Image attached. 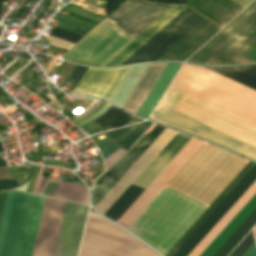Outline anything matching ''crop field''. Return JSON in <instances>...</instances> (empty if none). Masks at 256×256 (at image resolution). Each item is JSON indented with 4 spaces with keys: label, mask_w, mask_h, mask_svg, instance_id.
Listing matches in <instances>:
<instances>
[{
    "label": "crop field",
    "mask_w": 256,
    "mask_h": 256,
    "mask_svg": "<svg viewBox=\"0 0 256 256\" xmlns=\"http://www.w3.org/2000/svg\"><path fill=\"white\" fill-rule=\"evenodd\" d=\"M235 3L239 4L242 7H246L249 3H251L253 0H232Z\"/></svg>",
    "instance_id": "crop-field-35"
},
{
    "label": "crop field",
    "mask_w": 256,
    "mask_h": 256,
    "mask_svg": "<svg viewBox=\"0 0 256 256\" xmlns=\"http://www.w3.org/2000/svg\"><path fill=\"white\" fill-rule=\"evenodd\" d=\"M66 203L46 197L32 256H53Z\"/></svg>",
    "instance_id": "crop-field-12"
},
{
    "label": "crop field",
    "mask_w": 256,
    "mask_h": 256,
    "mask_svg": "<svg viewBox=\"0 0 256 256\" xmlns=\"http://www.w3.org/2000/svg\"><path fill=\"white\" fill-rule=\"evenodd\" d=\"M190 139L191 137L177 133L147 168L137 177L133 184L146 189ZM133 184L127 188L104 215L115 222L120 218V216L144 191V189Z\"/></svg>",
    "instance_id": "crop-field-10"
},
{
    "label": "crop field",
    "mask_w": 256,
    "mask_h": 256,
    "mask_svg": "<svg viewBox=\"0 0 256 256\" xmlns=\"http://www.w3.org/2000/svg\"><path fill=\"white\" fill-rule=\"evenodd\" d=\"M254 242L252 238V231L248 234V236L241 242V244L234 250V252L230 256H241L249 246Z\"/></svg>",
    "instance_id": "crop-field-28"
},
{
    "label": "crop field",
    "mask_w": 256,
    "mask_h": 256,
    "mask_svg": "<svg viewBox=\"0 0 256 256\" xmlns=\"http://www.w3.org/2000/svg\"><path fill=\"white\" fill-rule=\"evenodd\" d=\"M126 151L124 150H119L118 152H116L115 154H113L112 156H110L109 158H107L106 160H104L105 162V169H107L110 165H112L117 159H119Z\"/></svg>",
    "instance_id": "crop-field-32"
},
{
    "label": "crop field",
    "mask_w": 256,
    "mask_h": 256,
    "mask_svg": "<svg viewBox=\"0 0 256 256\" xmlns=\"http://www.w3.org/2000/svg\"><path fill=\"white\" fill-rule=\"evenodd\" d=\"M86 70H87V67L77 66L76 70L74 71L71 78L69 79V82H73L77 84Z\"/></svg>",
    "instance_id": "crop-field-31"
},
{
    "label": "crop field",
    "mask_w": 256,
    "mask_h": 256,
    "mask_svg": "<svg viewBox=\"0 0 256 256\" xmlns=\"http://www.w3.org/2000/svg\"><path fill=\"white\" fill-rule=\"evenodd\" d=\"M54 197L89 204L86 189L79 182L60 181Z\"/></svg>",
    "instance_id": "crop-field-22"
},
{
    "label": "crop field",
    "mask_w": 256,
    "mask_h": 256,
    "mask_svg": "<svg viewBox=\"0 0 256 256\" xmlns=\"http://www.w3.org/2000/svg\"><path fill=\"white\" fill-rule=\"evenodd\" d=\"M56 27L68 30L70 32H73V33H76V34H79L82 36H84L86 33H88L91 30V28L84 27V26H81V25H78V24H75L72 22L62 20V19H60V21L57 23ZM76 29L84 31L86 33L83 34V33L77 32V31H75Z\"/></svg>",
    "instance_id": "crop-field-26"
},
{
    "label": "crop field",
    "mask_w": 256,
    "mask_h": 256,
    "mask_svg": "<svg viewBox=\"0 0 256 256\" xmlns=\"http://www.w3.org/2000/svg\"><path fill=\"white\" fill-rule=\"evenodd\" d=\"M252 62H256V59H254Z\"/></svg>",
    "instance_id": "crop-field-41"
},
{
    "label": "crop field",
    "mask_w": 256,
    "mask_h": 256,
    "mask_svg": "<svg viewBox=\"0 0 256 256\" xmlns=\"http://www.w3.org/2000/svg\"><path fill=\"white\" fill-rule=\"evenodd\" d=\"M255 194L256 181L222 217V219L211 229V231L201 240V242L191 251L188 256H199Z\"/></svg>",
    "instance_id": "crop-field-17"
},
{
    "label": "crop field",
    "mask_w": 256,
    "mask_h": 256,
    "mask_svg": "<svg viewBox=\"0 0 256 256\" xmlns=\"http://www.w3.org/2000/svg\"><path fill=\"white\" fill-rule=\"evenodd\" d=\"M181 64L169 63L162 76L146 98L145 102L137 112V115L147 118L151 113L152 109L160 99L161 95L169 85L170 81L178 71Z\"/></svg>",
    "instance_id": "crop-field-19"
},
{
    "label": "crop field",
    "mask_w": 256,
    "mask_h": 256,
    "mask_svg": "<svg viewBox=\"0 0 256 256\" xmlns=\"http://www.w3.org/2000/svg\"><path fill=\"white\" fill-rule=\"evenodd\" d=\"M49 94V93H48ZM47 95V94H46ZM45 96V95H44Z\"/></svg>",
    "instance_id": "crop-field-44"
},
{
    "label": "crop field",
    "mask_w": 256,
    "mask_h": 256,
    "mask_svg": "<svg viewBox=\"0 0 256 256\" xmlns=\"http://www.w3.org/2000/svg\"><path fill=\"white\" fill-rule=\"evenodd\" d=\"M197 1H198V0H187L185 4L191 7V6H192L195 2H197ZM190 7H189V8H190Z\"/></svg>",
    "instance_id": "crop-field-36"
},
{
    "label": "crop field",
    "mask_w": 256,
    "mask_h": 256,
    "mask_svg": "<svg viewBox=\"0 0 256 256\" xmlns=\"http://www.w3.org/2000/svg\"><path fill=\"white\" fill-rule=\"evenodd\" d=\"M170 6L171 5L125 0L106 19L135 38ZM183 8L184 6L172 5L135 39L105 19L104 21L125 34L130 39L134 40H130L103 21L102 23L100 22L101 24L79 41L66 54H64V56L83 62L104 65L132 41L104 67L117 66ZM64 56H62V58L69 61L89 66L102 67L101 65L83 63Z\"/></svg>",
    "instance_id": "crop-field-2"
},
{
    "label": "crop field",
    "mask_w": 256,
    "mask_h": 256,
    "mask_svg": "<svg viewBox=\"0 0 256 256\" xmlns=\"http://www.w3.org/2000/svg\"><path fill=\"white\" fill-rule=\"evenodd\" d=\"M98 149L101 155L103 156V159H106L107 157H109L110 155H112L121 148L117 147L116 145L110 142L106 145L99 147Z\"/></svg>",
    "instance_id": "crop-field-29"
},
{
    "label": "crop field",
    "mask_w": 256,
    "mask_h": 256,
    "mask_svg": "<svg viewBox=\"0 0 256 256\" xmlns=\"http://www.w3.org/2000/svg\"><path fill=\"white\" fill-rule=\"evenodd\" d=\"M203 143L192 138L116 223L127 229Z\"/></svg>",
    "instance_id": "crop-field-11"
},
{
    "label": "crop field",
    "mask_w": 256,
    "mask_h": 256,
    "mask_svg": "<svg viewBox=\"0 0 256 256\" xmlns=\"http://www.w3.org/2000/svg\"><path fill=\"white\" fill-rule=\"evenodd\" d=\"M0 173H9L7 168H0ZM0 178H11L9 174H0ZM19 185L15 179H0V189H7Z\"/></svg>",
    "instance_id": "crop-field-27"
},
{
    "label": "crop field",
    "mask_w": 256,
    "mask_h": 256,
    "mask_svg": "<svg viewBox=\"0 0 256 256\" xmlns=\"http://www.w3.org/2000/svg\"><path fill=\"white\" fill-rule=\"evenodd\" d=\"M79 256H158L102 217L90 212Z\"/></svg>",
    "instance_id": "crop-field-8"
},
{
    "label": "crop field",
    "mask_w": 256,
    "mask_h": 256,
    "mask_svg": "<svg viewBox=\"0 0 256 256\" xmlns=\"http://www.w3.org/2000/svg\"><path fill=\"white\" fill-rule=\"evenodd\" d=\"M5 192L0 193V212ZM45 197L6 192L0 216V256H31Z\"/></svg>",
    "instance_id": "crop-field-5"
},
{
    "label": "crop field",
    "mask_w": 256,
    "mask_h": 256,
    "mask_svg": "<svg viewBox=\"0 0 256 256\" xmlns=\"http://www.w3.org/2000/svg\"><path fill=\"white\" fill-rule=\"evenodd\" d=\"M35 65V63H31L29 66H27L26 68H24L20 73H24V72H26L28 69H30L32 66H34Z\"/></svg>",
    "instance_id": "crop-field-37"
},
{
    "label": "crop field",
    "mask_w": 256,
    "mask_h": 256,
    "mask_svg": "<svg viewBox=\"0 0 256 256\" xmlns=\"http://www.w3.org/2000/svg\"><path fill=\"white\" fill-rule=\"evenodd\" d=\"M128 68L129 67L115 69L88 68L75 90L109 99Z\"/></svg>",
    "instance_id": "crop-field-15"
},
{
    "label": "crop field",
    "mask_w": 256,
    "mask_h": 256,
    "mask_svg": "<svg viewBox=\"0 0 256 256\" xmlns=\"http://www.w3.org/2000/svg\"><path fill=\"white\" fill-rule=\"evenodd\" d=\"M246 72H249L256 76V65L238 67Z\"/></svg>",
    "instance_id": "crop-field-33"
},
{
    "label": "crop field",
    "mask_w": 256,
    "mask_h": 256,
    "mask_svg": "<svg viewBox=\"0 0 256 256\" xmlns=\"http://www.w3.org/2000/svg\"><path fill=\"white\" fill-rule=\"evenodd\" d=\"M135 117L111 106L103 115L93 120L102 129L126 125Z\"/></svg>",
    "instance_id": "crop-field-23"
},
{
    "label": "crop field",
    "mask_w": 256,
    "mask_h": 256,
    "mask_svg": "<svg viewBox=\"0 0 256 256\" xmlns=\"http://www.w3.org/2000/svg\"><path fill=\"white\" fill-rule=\"evenodd\" d=\"M220 29L204 18L157 61H184Z\"/></svg>",
    "instance_id": "crop-field-14"
},
{
    "label": "crop field",
    "mask_w": 256,
    "mask_h": 256,
    "mask_svg": "<svg viewBox=\"0 0 256 256\" xmlns=\"http://www.w3.org/2000/svg\"><path fill=\"white\" fill-rule=\"evenodd\" d=\"M164 127L153 124L133 148L115 165L106 171L96 182L92 191V203L95 206L152 141L161 133Z\"/></svg>",
    "instance_id": "crop-field-13"
},
{
    "label": "crop field",
    "mask_w": 256,
    "mask_h": 256,
    "mask_svg": "<svg viewBox=\"0 0 256 256\" xmlns=\"http://www.w3.org/2000/svg\"><path fill=\"white\" fill-rule=\"evenodd\" d=\"M191 8L221 27L244 9L230 0H199Z\"/></svg>",
    "instance_id": "crop-field-16"
},
{
    "label": "crop field",
    "mask_w": 256,
    "mask_h": 256,
    "mask_svg": "<svg viewBox=\"0 0 256 256\" xmlns=\"http://www.w3.org/2000/svg\"><path fill=\"white\" fill-rule=\"evenodd\" d=\"M150 125L151 124H138L104 133V135L117 146L127 151Z\"/></svg>",
    "instance_id": "crop-field-20"
},
{
    "label": "crop field",
    "mask_w": 256,
    "mask_h": 256,
    "mask_svg": "<svg viewBox=\"0 0 256 256\" xmlns=\"http://www.w3.org/2000/svg\"><path fill=\"white\" fill-rule=\"evenodd\" d=\"M203 18L185 7L122 64L156 61Z\"/></svg>",
    "instance_id": "crop-field-9"
},
{
    "label": "crop field",
    "mask_w": 256,
    "mask_h": 256,
    "mask_svg": "<svg viewBox=\"0 0 256 256\" xmlns=\"http://www.w3.org/2000/svg\"><path fill=\"white\" fill-rule=\"evenodd\" d=\"M255 224L256 209L250 214V216L240 225V227L230 236V238L220 247V249L213 256H227Z\"/></svg>",
    "instance_id": "crop-field-21"
},
{
    "label": "crop field",
    "mask_w": 256,
    "mask_h": 256,
    "mask_svg": "<svg viewBox=\"0 0 256 256\" xmlns=\"http://www.w3.org/2000/svg\"><path fill=\"white\" fill-rule=\"evenodd\" d=\"M167 65L168 63L151 64L124 109L136 114Z\"/></svg>",
    "instance_id": "crop-field-18"
},
{
    "label": "crop field",
    "mask_w": 256,
    "mask_h": 256,
    "mask_svg": "<svg viewBox=\"0 0 256 256\" xmlns=\"http://www.w3.org/2000/svg\"><path fill=\"white\" fill-rule=\"evenodd\" d=\"M0 166H7V164L5 161H1V159H0Z\"/></svg>",
    "instance_id": "crop-field-38"
},
{
    "label": "crop field",
    "mask_w": 256,
    "mask_h": 256,
    "mask_svg": "<svg viewBox=\"0 0 256 256\" xmlns=\"http://www.w3.org/2000/svg\"><path fill=\"white\" fill-rule=\"evenodd\" d=\"M188 97V95L169 87L150 119L205 138L213 143L223 145L233 151L256 160V147H254L256 146L255 125L210 106L191 96L189 98ZM182 102L184 103L181 104ZM175 109L182 114L254 146L182 115L174 111Z\"/></svg>",
    "instance_id": "crop-field-3"
},
{
    "label": "crop field",
    "mask_w": 256,
    "mask_h": 256,
    "mask_svg": "<svg viewBox=\"0 0 256 256\" xmlns=\"http://www.w3.org/2000/svg\"><path fill=\"white\" fill-rule=\"evenodd\" d=\"M255 180L256 164L250 161L165 256H187Z\"/></svg>",
    "instance_id": "crop-field-7"
},
{
    "label": "crop field",
    "mask_w": 256,
    "mask_h": 256,
    "mask_svg": "<svg viewBox=\"0 0 256 256\" xmlns=\"http://www.w3.org/2000/svg\"><path fill=\"white\" fill-rule=\"evenodd\" d=\"M49 35H52L54 37L60 38L62 40L68 41L73 44H75L77 41H79L82 38V36L70 33L68 31H65L56 27L52 29Z\"/></svg>",
    "instance_id": "crop-field-25"
},
{
    "label": "crop field",
    "mask_w": 256,
    "mask_h": 256,
    "mask_svg": "<svg viewBox=\"0 0 256 256\" xmlns=\"http://www.w3.org/2000/svg\"><path fill=\"white\" fill-rule=\"evenodd\" d=\"M230 80L242 84L256 91V77L236 67L232 68H206Z\"/></svg>",
    "instance_id": "crop-field-24"
},
{
    "label": "crop field",
    "mask_w": 256,
    "mask_h": 256,
    "mask_svg": "<svg viewBox=\"0 0 256 256\" xmlns=\"http://www.w3.org/2000/svg\"><path fill=\"white\" fill-rule=\"evenodd\" d=\"M1 151H4V149H3V148H1V149H0V152H1Z\"/></svg>",
    "instance_id": "crop-field-40"
},
{
    "label": "crop field",
    "mask_w": 256,
    "mask_h": 256,
    "mask_svg": "<svg viewBox=\"0 0 256 256\" xmlns=\"http://www.w3.org/2000/svg\"><path fill=\"white\" fill-rule=\"evenodd\" d=\"M2 147V145H0V148Z\"/></svg>",
    "instance_id": "crop-field-42"
},
{
    "label": "crop field",
    "mask_w": 256,
    "mask_h": 256,
    "mask_svg": "<svg viewBox=\"0 0 256 256\" xmlns=\"http://www.w3.org/2000/svg\"><path fill=\"white\" fill-rule=\"evenodd\" d=\"M242 256H256L255 243H253L251 247Z\"/></svg>",
    "instance_id": "crop-field-34"
},
{
    "label": "crop field",
    "mask_w": 256,
    "mask_h": 256,
    "mask_svg": "<svg viewBox=\"0 0 256 256\" xmlns=\"http://www.w3.org/2000/svg\"><path fill=\"white\" fill-rule=\"evenodd\" d=\"M85 182H86V184H87L89 187H91L92 184H93L92 182H90V181H88V180H86ZM91 188H92V187H91Z\"/></svg>",
    "instance_id": "crop-field-39"
},
{
    "label": "crop field",
    "mask_w": 256,
    "mask_h": 256,
    "mask_svg": "<svg viewBox=\"0 0 256 256\" xmlns=\"http://www.w3.org/2000/svg\"><path fill=\"white\" fill-rule=\"evenodd\" d=\"M248 162L205 142L167 186L208 207ZM167 186L127 229L164 255L207 208Z\"/></svg>",
    "instance_id": "crop-field-1"
},
{
    "label": "crop field",
    "mask_w": 256,
    "mask_h": 256,
    "mask_svg": "<svg viewBox=\"0 0 256 256\" xmlns=\"http://www.w3.org/2000/svg\"><path fill=\"white\" fill-rule=\"evenodd\" d=\"M42 172H43V168L41 167L40 171H39V174H38V177H37V180L35 182L33 191H32L34 193L40 194L44 185H45V183H46V181H47V179L42 176Z\"/></svg>",
    "instance_id": "crop-field-30"
},
{
    "label": "crop field",
    "mask_w": 256,
    "mask_h": 256,
    "mask_svg": "<svg viewBox=\"0 0 256 256\" xmlns=\"http://www.w3.org/2000/svg\"><path fill=\"white\" fill-rule=\"evenodd\" d=\"M210 71L184 65L171 87L256 125V92Z\"/></svg>",
    "instance_id": "crop-field-4"
},
{
    "label": "crop field",
    "mask_w": 256,
    "mask_h": 256,
    "mask_svg": "<svg viewBox=\"0 0 256 256\" xmlns=\"http://www.w3.org/2000/svg\"><path fill=\"white\" fill-rule=\"evenodd\" d=\"M255 42L256 0L187 62L230 65Z\"/></svg>",
    "instance_id": "crop-field-6"
},
{
    "label": "crop field",
    "mask_w": 256,
    "mask_h": 256,
    "mask_svg": "<svg viewBox=\"0 0 256 256\" xmlns=\"http://www.w3.org/2000/svg\"><path fill=\"white\" fill-rule=\"evenodd\" d=\"M255 234H256V231H255Z\"/></svg>",
    "instance_id": "crop-field-43"
}]
</instances>
